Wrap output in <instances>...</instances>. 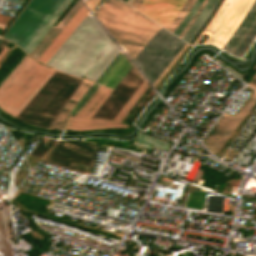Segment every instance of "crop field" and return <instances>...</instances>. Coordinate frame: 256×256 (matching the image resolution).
Instances as JSON below:
<instances>
[{
	"instance_id": "obj_8",
	"label": "crop field",
	"mask_w": 256,
	"mask_h": 256,
	"mask_svg": "<svg viewBox=\"0 0 256 256\" xmlns=\"http://www.w3.org/2000/svg\"><path fill=\"white\" fill-rule=\"evenodd\" d=\"M256 23V0L253 3L252 7L245 15L238 28L234 32V34L230 37V39L225 43L222 47V50L228 52L230 55L241 42V40L245 37V35L249 32V30Z\"/></svg>"
},
{
	"instance_id": "obj_12",
	"label": "crop field",
	"mask_w": 256,
	"mask_h": 256,
	"mask_svg": "<svg viewBox=\"0 0 256 256\" xmlns=\"http://www.w3.org/2000/svg\"><path fill=\"white\" fill-rule=\"evenodd\" d=\"M255 34H256V24L250 30V32L246 35V37L243 39V41L240 43V45L236 48V50L233 52L232 56L239 57L240 54L244 51V49L248 46V44L252 41Z\"/></svg>"
},
{
	"instance_id": "obj_4",
	"label": "crop field",
	"mask_w": 256,
	"mask_h": 256,
	"mask_svg": "<svg viewBox=\"0 0 256 256\" xmlns=\"http://www.w3.org/2000/svg\"><path fill=\"white\" fill-rule=\"evenodd\" d=\"M53 72L25 55L0 85V108L15 117Z\"/></svg>"
},
{
	"instance_id": "obj_9",
	"label": "crop field",
	"mask_w": 256,
	"mask_h": 256,
	"mask_svg": "<svg viewBox=\"0 0 256 256\" xmlns=\"http://www.w3.org/2000/svg\"><path fill=\"white\" fill-rule=\"evenodd\" d=\"M218 0H209L206 6L203 8L195 22L192 24V26L189 28V30L186 32V34L183 36V40L190 43V41L193 39L197 31L200 29L204 21L207 19L215 5L217 4Z\"/></svg>"
},
{
	"instance_id": "obj_3",
	"label": "crop field",
	"mask_w": 256,
	"mask_h": 256,
	"mask_svg": "<svg viewBox=\"0 0 256 256\" xmlns=\"http://www.w3.org/2000/svg\"><path fill=\"white\" fill-rule=\"evenodd\" d=\"M71 1L30 0L3 38L29 54Z\"/></svg>"
},
{
	"instance_id": "obj_1",
	"label": "crop field",
	"mask_w": 256,
	"mask_h": 256,
	"mask_svg": "<svg viewBox=\"0 0 256 256\" xmlns=\"http://www.w3.org/2000/svg\"><path fill=\"white\" fill-rule=\"evenodd\" d=\"M87 12L82 4L38 60L48 64ZM118 51L119 48L105 35L102 27L88 14L48 65L94 81ZM96 57L99 59L95 60Z\"/></svg>"
},
{
	"instance_id": "obj_10",
	"label": "crop field",
	"mask_w": 256,
	"mask_h": 256,
	"mask_svg": "<svg viewBox=\"0 0 256 256\" xmlns=\"http://www.w3.org/2000/svg\"><path fill=\"white\" fill-rule=\"evenodd\" d=\"M82 3L80 0L72 6V8L67 12V14L62 18V20L57 24L53 31L48 35V37L43 41V43L38 47V49L33 53L32 57L38 58V56L43 52V50L48 46L52 39L57 35L61 28L66 24V22L71 18L75 11L80 7Z\"/></svg>"
},
{
	"instance_id": "obj_14",
	"label": "crop field",
	"mask_w": 256,
	"mask_h": 256,
	"mask_svg": "<svg viewBox=\"0 0 256 256\" xmlns=\"http://www.w3.org/2000/svg\"><path fill=\"white\" fill-rule=\"evenodd\" d=\"M6 50H7V48H6V46H5V48H4V50L1 52V54H0V58H1V56L6 52Z\"/></svg>"
},
{
	"instance_id": "obj_7",
	"label": "crop field",
	"mask_w": 256,
	"mask_h": 256,
	"mask_svg": "<svg viewBox=\"0 0 256 256\" xmlns=\"http://www.w3.org/2000/svg\"><path fill=\"white\" fill-rule=\"evenodd\" d=\"M185 1L186 0H143L137 10L166 28Z\"/></svg>"
},
{
	"instance_id": "obj_13",
	"label": "crop field",
	"mask_w": 256,
	"mask_h": 256,
	"mask_svg": "<svg viewBox=\"0 0 256 256\" xmlns=\"http://www.w3.org/2000/svg\"><path fill=\"white\" fill-rule=\"evenodd\" d=\"M203 2V0H197L196 3L193 5V7L190 9L189 13L187 14V16L184 18V20L181 22V24L178 26V28L175 30L174 34L178 35L182 32V30L184 29V27L187 25V23L190 21V19L192 18V16L195 14V12L197 11V9L199 8V6L201 5V3ZM177 36V37H178Z\"/></svg>"
},
{
	"instance_id": "obj_5",
	"label": "crop field",
	"mask_w": 256,
	"mask_h": 256,
	"mask_svg": "<svg viewBox=\"0 0 256 256\" xmlns=\"http://www.w3.org/2000/svg\"><path fill=\"white\" fill-rule=\"evenodd\" d=\"M184 43L161 28L133 61L153 85Z\"/></svg>"
},
{
	"instance_id": "obj_15",
	"label": "crop field",
	"mask_w": 256,
	"mask_h": 256,
	"mask_svg": "<svg viewBox=\"0 0 256 256\" xmlns=\"http://www.w3.org/2000/svg\"><path fill=\"white\" fill-rule=\"evenodd\" d=\"M134 0H127V2L126 3H128V4H132V2H133Z\"/></svg>"
},
{
	"instance_id": "obj_6",
	"label": "crop field",
	"mask_w": 256,
	"mask_h": 256,
	"mask_svg": "<svg viewBox=\"0 0 256 256\" xmlns=\"http://www.w3.org/2000/svg\"><path fill=\"white\" fill-rule=\"evenodd\" d=\"M227 2L229 3L225 6ZM253 2L254 0H224L215 18L206 27L195 44L203 34H207L210 36L204 44H215L221 48L233 34Z\"/></svg>"
},
{
	"instance_id": "obj_11",
	"label": "crop field",
	"mask_w": 256,
	"mask_h": 256,
	"mask_svg": "<svg viewBox=\"0 0 256 256\" xmlns=\"http://www.w3.org/2000/svg\"><path fill=\"white\" fill-rule=\"evenodd\" d=\"M140 135L135 139V142L141 143V144H146V145H151V146H155V147L165 148V149H168V147L170 145L169 143L164 142V141H162V142L167 143L169 145L159 142L160 140L156 141V140H158L156 138H154V139H156V140H154V139H151L153 137L147 138L149 136L144 137L145 135L144 136H140ZM137 143H135V144H137ZM141 144H137V145H141ZM146 145H142V146H146ZM151 146H148V147H151ZM155 147H153V148H155ZM160 148H156V149H160ZM165 149H160V150L166 151Z\"/></svg>"
},
{
	"instance_id": "obj_2",
	"label": "crop field",
	"mask_w": 256,
	"mask_h": 256,
	"mask_svg": "<svg viewBox=\"0 0 256 256\" xmlns=\"http://www.w3.org/2000/svg\"><path fill=\"white\" fill-rule=\"evenodd\" d=\"M120 53V52H119ZM118 53V54H119ZM116 55V57L118 56ZM115 57V58H116ZM114 58V59H115ZM113 59V60H114ZM112 60V62H113ZM111 62V63H112ZM110 63V64H111ZM109 64V65H110ZM108 65V66H109ZM107 66V67H108ZM133 65L126 58V56L121 52L119 56L114 60V62L109 66L103 75L98 79L96 84L106 86L114 89L115 86L120 82V80L125 76V74L130 70ZM94 84L90 91L81 97L78 103L73 108L72 115L78 116L79 113L83 110V108L87 105V103L91 100V98L95 95V93L99 90L100 86ZM149 84L146 80L143 84L137 89V91L131 96V98L126 102V104L121 108L119 113L116 115L113 121L103 120V119H90L92 115L96 112V110L100 107L103 101L107 98V96L111 93V89L101 87L100 90L96 93V95L92 98V100L88 103V105L84 108V110L80 113L78 117L72 116L69 119V123L65 129L76 130V131H85V130H94V129H108V128H127L128 126L121 124L120 122L126 116V114L131 110V108L135 105L144 91L147 89ZM149 88V87H148Z\"/></svg>"
}]
</instances>
